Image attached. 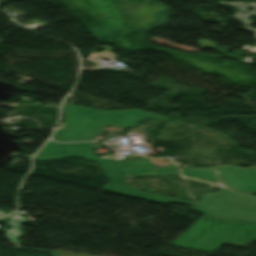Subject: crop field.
Instances as JSON below:
<instances>
[{
    "mask_svg": "<svg viewBox=\"0 0 256 256\" xmlns=\"http://www.w3.org/2000/svg\"><path fill=\"white\" fill-rule=\"evenodd\" d=\"M47 146L58 148L52 152H39L34 159H59L64 157L77 156L86 160L97 162L101 165L105 174L110 179V183L104 186V190L112 193L122 194L135 198L145 199L159 203H178L191 205V201L163 197L143 191H139L127 186L124 183L126 177L125 169L145 167L158 175H175L178 176V169L174 164L164 166L162 168L156 167L151 161H114L108 159L98 158L91 155L93 143H72V144H57L49 142Z\"/></svg>",
    "mask_w": 256,
    "mask_h": 256,
    "instance_id": "obj_1",
    "label": "crop field"
},
{
    "mask_svg": "<svg viewBox=\"0 0 256 256\" xmlns=\"http://www.w3.org/2000/svg\"><path fill=\"white\" fill-rule=\"evenodd\" d=\"M51 150H55V148L45 146L41 151H51Z\"/></svg>",
    "mask_w": 256,
    "mask_h": 256,
    "instance_id": "obj_8",
    "label": "crop field"
},
{
    "mask_svg": "<svg viewBox=\"0 0 256 256\" xmlns=\"http://www.w3.org/2000/svg\"><path fill=\"white\" fill-rule=\"evenodd\" d=\"M243 49H245V50H250V51H256V47L250 49V48H248V46H245Z\"/></svg>",
    "mask_w": 256,
    "mask_h": 256,
    "instance_id": "obj_9",
    "label": "crop field"
},
{
    "mask_svg": "<svg viewBox=\"0 0 256 256\" xmlns=\"http://www.w3.org/2000/svg\"><path fill=\"white\" fill-rule=\"evenodd\" d=\"M127 175H156L152 171L145 168L129 169L126 170Z\"/></svg>",
    "mask_w": 256,
    "mask_h": 256,
    "instance_id": "obj_7",
    "label": "crop field"
},
{
    "mask_svg": "<svg viewBox=\"0 0 256 256\" xmlns=\"http://www.w3.org/2000/svg\"><path fill=\"white\" fill-rule=\"evenodd\" d=\"M28 223L26 217L21 215H11L9 220V225L12 227L10 230L4 231L7 238L14 243H19L16 237L24 236L22 230L20 229V224ZM12 233L13 235H10Z\"/></svg>",
    "mask_w": 256,
    "mask_h": 256,
    "instance_id": "obj_4",
    "label": "crop field"
},
{
    "mask_svg": "<svg viewBox=\"0 0 256 256\" xmlns=\"http://www.w3.org/2000/svg\"><path fill=\"white\" fill-rule=\"evenodd\" d=\"M250 16L251 15L237 11V12H235V14L232 17H234L238 21L242 22V24H243L242 28L244 30L255 33L254 37L256 38V29L249 27L253 23V21L248 19Z\"/></svg>",
    "mask_w": 256,
    "mask_h": 256,
    "instance_id": "obj_5",
    "label": "crop field"
},
{
    "mask_svg": "<svg viewBox=\"0 0 256 256\" xmlns=\"http://www.w3.org/2000/svg\"><path fill=\"white\" fill-rule=\"evenodd\" d=\"M64 108L66 122L54 133V139L59 142L89 140L101 133L105 125L131 127L146 117L164 121L171 119L139 109L100 111L70 104Z\"/></svg>",
    "mask_w": 256,
    "mask_h": 256,
    "instance_id": "obj_2",
    "label": "crop field"
},
{
    "mask_svg": "<svg viewBox=\"0 0 256 256\" xmlns=\"http://www.w3.org/2000/svg\"><path fill=\"white\" fill-rule=\"evenodd\" d=\"M4 215H6V214L3 213V212H0V217H2V216H4Z\"/></svg>",
    "mask_w": 256,
    "mask_h": 256,
    "instance_id": "obj_10",
    "label": "crop field"
},
{
    "mask_svg": "<svg viewBox=\"0 0 256 256\" xmlns=\"http://www.w3.org/2000/svg\"><path fill=\"white\" fill-rule=\"evenodd\" d=\"M220 3L230 4V5L234 6L235 8H237V9H239V10H241V11L248 12V13H251V14L256 15V3H243V2L227 3V2H223V1H220ZM247 5H249V6H255L252 12L245 11Z\"/></svg>",
    "mask_w": 256,
    "mask_h": 256,
    "instance_id": "obj_6",
    "label": "crop field"
},
{
    "mask_svg": "<svg viewBox=\"0 0 256 256\" xmlns=\"http://www.w3.org/2000/svg\"><path fill=\"white\" fill-rule=\"evenodd\" d=\"M182 175L209 182L220 181L223 185L238 191L256 192V167L248 169H240L233 165L211 168L186 167L182 169Z\"/></svg>",
    "mask_w": 256,
    "mask_h": 256,
    "instance_id": "obj_3",
    "label": "crop field"
}]
</instances>
